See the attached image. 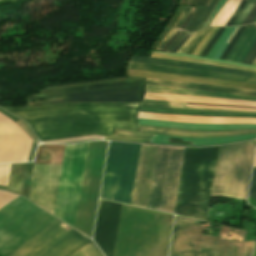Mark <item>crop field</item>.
<instances>
[{"label": "crop field", "mask_w": 256, "mask_h": 256, "mask_svg": "<svg viewBox=\"0 0 256 256\" xmlns=\"http://www.w3.org/2000/svg\"><path fill=\"white\" fill-rule=\"evenodd\" d=\"M237 27H233V29L231 30V32L229 33V35L227 36V38L225 39V41L223 42V44L221 45V47L218 49V51L216 52L214 58L219 59L220 55L222 54V52L224 51V49L227 47V45L229 44V41L231 40V38L233 37V35L235 34V32L238 30ZM236 29V31H235ZM235 31V32H234ZM234 32V33H233ZM233 33V35H232ZM232 35V36H231ZM231 36V37H230ZM230 37V39H229ZM229 39V41H227Z\"/></svg>", "instance_id": "38"}, {"label": "crop field", "mask_w": 256, "mask_h": 256, "mask_svg": "<svg viewBox=\"0 0 256 256\" xmlns=\"http://www.w3.org/2000/svg\"><path fill=\"white\" fill-rule=\"evenodd\" d=\"M105 140H119V141H131V142L147 143L148 139L114 136V137H106Z\"/></svg>", "instance_id": "40"}, {"label": "crop field", "mask_w": 256, "mask_h": 256, "mask_svg": "<svg viewBox=\"0 0 256 256\" xmlns=\"http://www.w3.org/2000/svg\"><path fill=\"white\" fill-rule=\"evenodd\" d=\"M189 107H199V108H219V109H231V110H242V111H256L251 109H240V108H231V107H209V106H195V105H186Z\"/></svg>", "instance_id": "49"}, {"label": "crop field", "mask_w": 256, "mask_h": 256, "mask_svg": "<svg viewBox=\"0 0 256 256\" xmlns=\"http://www.w3.org/2000/svg\"><path fill=\"white\" fill-rule=\"evenodd\" d=\"M181 30H178L171 38L170 40L166 43V45L163 47L162 51H165L175 40V38L181 33Z\"/></svg>", "instance_id": "52"}, {"label": "crop field", "mask_w": 256, "mask_h": 256, "mask_svg": "<svg viewBox=\"0 0 256 256\" xmlns=\"http://www.w3.org/2000/svg\"><path fill=\"white\" fill-rule=\"evenodd\" d=\"M255 17H256V5L254 6V8L252 9L251 13L249 14V16L247 17V19L244 21L243 24L253 23Z\"/></svg>", "instance_id": "50"}, {"label": "crop field", "mask_w": 256, "mask_h": 256, "mask_svg": "<svg viewBox=\"0 0 256 256\" xmlns=\"http://www.w3.org/2000/svg\"><path fill=\"white\" fill-rule=\"evenodd\" d=\"M255 2H256V0H249L247 5L245 6L244 10L242 11V13L239 15V17L237 18V20L233 24V26H239V25L242 24V22L246 19V17L248 16L249 12L253 8Z\"/></svg>", "instance_id": "33"}, {"label": "crop field", "mask_w": 256, "mask_h": 256, "mask_svg": "<svg viewBox=\"0 0 256 256\" xmlns=\"http://www.w3.org/2000/svg\"><path fill=\"white\" fill-rule=\"evenodd\" d=\"M224 28H219L218 31L214 34L210 42L207 44L203 52L200 54V56L205 57L207 52L210 50V48L213 46L214 42L217 40L221 32L223 31Z\"/></svg>", "instance_id": "39"}, {"label": "crop field", "mask_w": 256, "mask_h": 256, "mask_svg": "<svg viewBox=\"0 0 256 256\" xmlns=\"http://www.w3.org/2000/svg\"><path fill=\"white\" fill-rule=\"evenodd\" d=\"M26 163L12 164L7 190L20 195Z\"/></svg>", "instance_id": "26"}, {"label": "crop field", "mask_w": 256, "mask_h": 256, "mask_svg": "<svg viewBox=\"0 0 256 256\" xmlns=\"http://www.w3.org/2000/svg\"><path fill=\"white\" fill-rule=\"evenodd\" d=\"M139 111L168 113V114H182V115H192V116L256 118V114H251V113L214 112V111H203V110H192V109L161 108V107H146V106H141Z\"/></svg>", "instance_id": "22"}, {"label": "crop field", "mask_w": 256, "mask_h": 256, "mask_svg": "<svg viewBox=\"0 0 256 256\" xmlns=\"http://www.w3.org/2000/svg\"><path fill=\"white\" fill-rule=\"evenodd\" d=\"M194 222L176 216L169 256H249L252 242H243L245 231L222 226L217 238H213L200 235L204 227Z\"/></svg>", "instance_id": "3"}, {"label": "crop field", "mask_w": 256, "mask_h": 256, "mask_svg": "<svg viewBox=\"0 0 256 256\" xmlns=\"http://www.w3.org/2000/svg\"><path fill=\"white\" fill-rule=\"evenodd\" d=\"M64 145L39 146L34 163H61Z\"/></svg>", "instance_id": "25"}, {"label": "crop field", "mask_w": 256, "mask_h": 256, "mask_svg": "<svg viewBox=\"0 0 256 256\" xmlns=\"http://www.w3.org/2000/svg\"><path fill=\"white\" fill-rule=\"evenodd\" d=\"M31 143L14 122L0 114V163L26 161Z\"/></svg>", "instance_id": "10"}, {"label": "crop field", "mask_w": 256, "mask_h": 256, "mask_svg": "<svg viewBox=\"0 0 256 256\" xmlns=\"http://www.w3.org/2000/svg\"><path fill=\"white\" fill-rule=\"evenodd\" d=\"M144 99L256 107V102H251V101L214 99V98H205V97H187V96L165 95V94H155V93H146Z\"/></svg>", "instance_id": "18"}, {"label": "crop field", "mask_w": 256, "mask_h": 256, "mask_svg": "<svg viewBox=\"0 0 256 256\" xmlns=\"http://www.w3.org/2000/svg\"><path fill=\"white\" fill-rule=\"evenodd\" d=\"M190 7H185L181 16L179 17V19L176 21L174 27L179 28L184 20V18L186 17L188 11H189Z\"/></svg>", "instance_id": "47"}, {"label": "crop field", "mask_w": 256, "mask_h": 256, "mask_svg": "<svg viewBox=\"0 0 256 256\" xmlns=\"http://www.w3.org/2000/svg\"><path fill=\"white\" fill-rule=\"evenodd\" d=\"M130 61L148 63V64H156V65H164V66H172V67L202 69V70H208V71L256 78V73L242 71V70L228 69V68H223V67H219V66L201 65V64H193V63L169 61V60L154 59V58H147V57H137V56H132Z\"/></svg>", "instance_id": "17"}, {"label": "crop field", "mask_w": 256, "mask_h": 256, "mask_svg": "<svg viewBox=\"0 0 256 256\" xmlns=\"http://www.w3.org/2000/svg\"><path fill=\"white\" fill-rule=\"evenodd\" d=\"M146 84L158 85V86H168V87H178V88L203 89V90H210V91H217V92L237 93V94H243V95L256 96V91L239 89V88L197 84V83L147 79Z\"/></svg>", "instance_id": "21"}, {"label": "crop field", "mask_w": 256, "mask_h": 256, "mask_svg": "<svg viewBox=\"0 0 256 256\" xmlns=\"http://www.w3.org/2000/svg\"><path fill=\"white\" fill-rule=\"evenodd\" d=\"M217 150L185 148L174 214L206 220Z\"/></svg>", "instance_id": "2"}, {"label": "crop field", "mask_w": 256, "mask_h": 256, "mask_svg": "<svg viewBox=\"0 0 256 256\" xmlns=\"http://www.w3.org/2000/svg\"><path fill=\"white\" fill-rule=\"evenodd\" d=\"M142 105L147 106H161V107H177V108H188L185 107V103L179 102H165V101H151V100H144ZM198 109V108H193ZM203 110H214V111H231V110H219V109H203ZM232 112H242V111H232ZM256 113V112H252Z\"/></svg>", "instance_id": "30"}, {"label": "crop field", "mask_w": 256, "mask_h": 256, "mask_svg": "<svg viewBox=\"0 0 256 256\" xmlns=\"http://www.w3.org/2000/svg\"><path fill=\"white\" fill-rule=\"evenodd\" d=\"M139 147L110 142L101 198L130 204Z\"/></svg>", "instance_id": "6"}, {"label": "crop field", "mask_w": 256, "mask_h": 256, "mask_svg": "<svg viewBox=\"0 0 256 256\" xmlns=\"http://www.w3.org/2000/svg\"><path fill=\"white\" fill-rule=\"evenodd\" d=\"M248 0H242L240 5L238 6V8L236 9V11L234 12V14L232 15V17L230 18V20L228 21V23L226 24V26H232L233 22L235 21V19L237 18V16L240 14V12L243 10L244 6L246 5Z\"/></svg>", "instance_id": "42"}, {"label": "crop field", "mask_w": 256, "mask_h": 256, "mask_svg": "<svg viewBox=\"0 0 256 256\" xmlns=\"http://www.w3.org/2000/svg\"><path fill=\"white\" fill-rule=\"evenodd\" d=\"M137 118L156 119L171 122H192L205 124H256V119L251 118H214V117H187L154 113L139 112Z\"/></svg>", "instance_id": "16"}, {"label": "crop field", "mask_w": 256, "mask_h": 256, "mask_svg": "<svg viewBox=\"0 0 256 256\" xmlns=\"http://www.w3.org/2000/svg\"><path fill=\"white\" fill-rule=\"evenodd\" d=\"M211 29H212V27L200 31V32L195 36V38L186 46V48L183 50L182 53H189V54H192L193 50H194L195 47L198 45V43L203 39V37H204Z\"/></svg>", "instance_id": "31"}, {"label": "crop field", "mask_w": 256, "mask_h": 256, "mask_svg": "<svg viewBox=\"0 0 256 256\" xmlns=\"http://www.w3.org/2000/svg\"><path fill=\"white\" fill-rule=\"evenodd\" d=\"M10 165H0V185L6 186Z\"/></svg>", "instance_id": "37"}, {"label": "crop field", "mask_w": 256, "mask_h": 256, "mask_svg": "<svg viewBox=\"0 0 256 256\" xmlns=\"http://www.w3.org/2000/svg\"><path fill=\"white\" fill-rule=\"evenodd\" d=\"M249 197L256 198V167L253 168L252 184Z\"/></svg>", "instance_id": "45"}, {"label": "crop field", "mask_w": 256, "mask_h": 256, "mask_svg": "<svg viewBox=\"0 0 256 256\" xmlns=\"http://www.w3.org/2000/svg\"><path fill=\"white\" fill-rule=\"evenodd\" d=\"M138 129H139V132L115 129L114 135L150 138L154 133H158V134L171 135V136L201 138V137L236 136V135H242V134L256 133V129L206 131V132L182 131V130L154 128V127H143V126H138Z\"/></svg>", "instance_id": "13"}, {"label": "crop field", "mask_w": 256, "mask_h": 256, "mask_svg": "<svg viewBox=\"0 0 256 256\" xmlns=\"http://www.w3.org/2000/svg\"><path fill=\"white\" fill-rule=\"evenodd\" d=\"M186 104H191V103H186ZM196 105H204V104H196ZM210 106H217V105H210ZM252 109H256V108H252Z\"/></svg>", "instance_id": "56"}, {"label": "crop field", "mask_w": 256, "mask_h": 256, "mask_svg": "<svg viewBox=\"0 0 256 256\" xmlns=\"http://www.w3.org/2000/svg\"><path fill=\"white\" fill-rule=\"evenodd\" d=\"M254 23H256V19H255Z\"/></svg>", "instance_id": "60"}, {"label": "crop field", "mask_w": 256, "mask_h": 256, "mask_svg": "<svg viewBox=\"0 0 256 256\" xmlns=\"http://www.w3.org/2000/svg\"><path fill=\"white\" fill-rule=\"evenodd\" d=\"M168 137L169 136L153 135L149 141L150 143L167 144ZM254 137H256V134L243 135V136H237V137H225V138H201V139L180 138V137H172V138H178V139H182V141L191 142V145H207V144H221V143L245 140V139L254 138ZM172 138H169L168 143L190 144V143L181 142V140L172 139Z\"/></svg>", "instance_id": "23"}, {"label": "crop field", "mask_w": 256, "mask_h": 256, "mask_svg": "<svg viewBox=\"0 0 256 256\" xmlns=\"http://www.w3.org/2000/svg\"><path fill=\"white\" fill-rule=\"evenodd\" d=\"M196 34H197V32L194 33V34L179 48V50H178L176 53H181L182 50L185 48V46L194 38V36H195Z\"/></svg>", "instance_id": "55"}, {"label": "crop field", "mask_w": 256, "mask_h": 256, "mask_svg": "<svg viewBox=\"0 0 256 256\" xmlns=\"http://www.w3.org/2000/svg\"><path fill=\"white\" fill-rule=\"evenodd\" d=\"M218 28L214 27L207 35L206 37L202 40V42L198 45V47L194 50L193 55L199 56V54L202 52L208 41L211 39L213 34L216 32Z\"/></svg>", "instance_id": "35"}, {"label": "crop field", "mask_w": 256, "mask_h": 256, "mask_svg": "<svg viewBox=\"0 0 256 256\" xmlns=\"http://www.w3.org/2000/svg\"><path fill=\"white\" fill-rule=\"evenodd\" d=\"M19 196L0 191V208ZM55 218L20 197L0 209V256H9Z\"/></svg>", "instance_id": "4"}, {"label": "crop field", "mask_w": 256, "mask_h": 256, "mask_svg": "<svg viewBox=\"0 0 256 256\" xmlns=\"http://www.w3.org/2000/svg\"><path fill=\"white\" fill-rule=\"evenodd\" d=\"M254 256H256V248H255Z\"/></svg>", "instance_id": "59"}, {"label": "crop field", "mask_w": 256, "mask_h": 256, "mask_svg": "<svg viewBox=\"0 0 256 256\" xmlns=\"http://www.w3.org/2000/svg\"><path fill=\"white\" fill-rule=\"evenodd\" d=\"M247 26H243L240 27V29L238 30V32L235 34V36L233 37V39L231 40L230 44L228 45V47L225 49V51L223 52L222 56L220 57V59L225 60L226 57L228 56V54L230 53L231 49L233 48L235 42L237 41V39L239 38V36L242 34V32L245 30Z\"/></svg>", "instance_id": "34"}, {"label": "crop field", "mask_w": 256, "mask_h": 256, "mask_svg": "<svg viewBox=\"0 0 256 256\" xmlns=\"http://www.w3.org/2000/svg\"><path fill=\"white\" fill-rule=\"evenodd\" d=\"M231 29H232V27L226 28L225 32L222 34V36L219 38V40L216 42L215 46L211 50V52L208 56L209 58H213L215 52L217 51V49L219 48V46L221 45V43L223 42V40L225 39V37L227 36V34L229 33V31Z\"/></svg>", "instance_id": "41"}, {"label": "crop field", "mask_w": 256, "mask_h": 256, "mask_svg": "<svg viewBox=\"0 0 256 256\" xmlns=\"http://www.w3.org/2000/svg\"><path fill=\"white\" fill-rule=\"evenodd\" d=\"M256 42V28H249L247 27L243 34L240 36L238 41L236 42L234 48L232 49L231 53L229 54L227 60L239 63H242L243 59L252 48V46Z\"/></svg>", "instance_id": "24"}, {"label": "crop field", "mask_w": 256, "mask_h": 256, "mask_svg": "<svg viewBox=\"0 0 256 256\" xmlns=\"http://www.w3.org/2000/svg\"><path fill=\"white\" fill-rule=\"evenodd\" d=\"M191 36V34L187 33L180 41L179 43L173 48L171 53H175L178 48Z\"/></svg>", "instance_id": "51"}, {"label": "crop field", "mask_w": 256, "mask_h": 256, "mask_svg": "<svg viewBox=\"0 0 256 256\" xmlns=\"http://www.w3.org/2000/svg\"><path fill=\"white\" fill-rule=\"evenodd\" d=\"M131 69H140V70H149V71H157V72H165V73H173V74H181V75H190V76H198V77H206V78H214V79H222V80H230V81H238L256 84V79L233 76L227 74H220L202 70H192V69H182V68H172V67H164V66H156V65H148L141 63H133L129 62L128 67Z\"/></svg>", "instance_id": "14"}, {"label": "crop field", "mask_w": 256, "mask_h": 256, "mask_svg": "<svg viewBox=\"0 0 256 256\" xmlns=\"http://www.w3.org/2000/svg\"><path fill=\"white\" fill-rule=\"evenodd\" d=\"M241 0H228L218 15L211 22L210 26H225L232 13L235 11Z\"/></svg>", "instance_id": "28"}, {"label": "crop field", "mask_w": 256, "mask_h": 256, "mask_svg": "<svg viewBox=\"0 0 256 256\" xmlns=\"http://www.w3.org/2000/svg\"><path fill=\"white\" fill-rule=\"evenodd\" d=\"M125 75L134 76V77H142V78H151V79H170V80L197 82V83H205V84H212V85L233 86V87H240V88L256 90V86L250 85V84L222 81V80H214V79H206V78L189 77V76H181V75L164 74V73H156V72H148V71H140V70L127 69Z\"/></svg>", "instance_id": "15"}, {"label": "crop field", "mask_w": 256, "mask_h": 256, "mask_svg": "<svg viewBox=\"0 0 256 256\" xmlns=\"http://www.w3.org/2000/svg\"><path fill=\"white\" fill-rule=\"evenodd\" d=\"M186 34V32H182L177 38L176 40L173 42V44L166 50L167 52H170L172 50V48L178 43V41Z\"/></svg>", "instance_id": "54"}, {"label": "crop field", "mask_w": 256, "mask_h": 256, "mask_svg": "<svg viewBox=\"0 0 256 256\" xmlns=\"http://www.w3.org/2000/svg\"><path fill=\"white\" fill-rule=\"evenodd\" d=\"M77 232L57 220L27 239L10 256H68L89 240ZM70 256L83 255L76 250Z\"/></svg>", "instance_id": "8"}, {"label": "crop field", "mask_w": 256, "mask_h": 256, "mask_svg": "<svg viewBox=\"0 0 256 256\" xmlns=\"http://www.w3.org/2000/svg\"><path fill=\"white\" fill-rule=\"evenodd\" d=\"M138 125L165 127L182 130H226V129H250L256 128V125H204V124H191V123H170L154 120L137 119Z\"/></svg>", "instance_id": "19"}, {"label": "crop field", "mask_w": 256, "mask_h": 256, "mask_svg": "<svg viewBox=\"0 0 256 256\" xmlns=\"http://www.w3.org/2000/svg\"><path fill=\"white\" fill-rule=\"evenodd\" d=\"M218 2L219 0H212L208 9L198 8L185 30L193 33L201 23H205Z\"/></svg>", "instance_id": "27"}, {"label": "crop field", "mask_w": 256, "mask_h": 256, "mask_svg": "<svg viewBox=\"0 0 256 256\" xmlns=\"http://www.w3.org/2000/svg\"><path fill=\"white\" fill-rule=\"evenodd\" d=\"M151 53L174 55V56H181V57L194 58V59H200V60H209V61H217V62L229 63V64L238 65V66L253 67V66H248V65H244V64H236V63H232V62H228V61H222V60H215V59L197 57V56H193V55H189V54H171V53H161V52H156V51H152ZM253 68H256V67H253Z\"/></svg>", "instance_id": "32"}, {"label": "crop field", "mask_w": 256, "mask_h": 256, "mask_svg": "<svg viewBox=\"0 0 256 256\" xmlns=\"http://www.w3.org/2000/svg\"><path fill=\"white\" fill-rule=\"evenodd\" d=\"M93 245H94V243H93ZM79 250L81 251V253L83 255L88 254L89 256H103L95 245L91 248L88 245H86ZM88 255H86V256H88Z\"/></svg>", "instance_id": "36"}, {"label": "crop field", "mask_w": 256, "mask_h": 256, "mask_svg": "<svg viewBox=\"0 0 256 256\" xmlns=\"http://www.w3.org/2000/svg\"><path fill=\"white\" fill-rule=\"evenodd\" d=\"M194 10H195V8L192 7L191 10H190V12H189V14H188L187 17L185 18L183 25H182L180 28L184 29V28L187 26V24H188V22H189V20H190V18H191V16H192Z\"/></svg>", "instance_id": "53"}, {"label": "crop field", "mask_w": 256, "mask_h": 256, "mask_svg": "<svg viewBox=\"0 0 256 256\" xmlns=\"http://www.w3.org/2000/svg\"><path fill=\"white\" fill-rule=\"evenodd\" d=\"M256 140L219 147L212 196L246 200Z\"/></svg>", "instance_id": "5"}, {"label": "crop field", "mask_w": 256, "mask_h": 256, "mask_svg": "<svg viewBox=\"0 0 256 256\" xmlns=\"http://www.w3.org/2000/svg\"><path fill=\"white\" fill-rule=\"evenodd\" d=\"M252 65L256 66V59L254 60V62L252 63Z\"/></svg>", "instance_id": "58"}, {"label": "crop field", "mask_w": 256, "mask_h": 256, "mask_svg": "<svg viewBox=\"0 0 256 256\" xmlns=\"http://www.w3.org/2000/svg\"><path fill=\"white\" fill-rule=\"evenodd\" d=\"M210 2H211V0H188L187 5L208 7Z\"/></svg>", "instance_id": "43"}, {"label": "crop field", "mask_w": 256, "mask_h": 256, "mask_svg": "<svg viewBox=\"0 0 256 256\" xmlns=\"http://www.w3.org/2000/svg\"><path fill=\"white\" fill-rule=\"evenodd\" d=\"M150 57L170 59V60H178V61H186V62H193V63H201V64L220 65V66H226V67H232V68H238V69H244V70H249V71L256 72V69L238 67V66H233V65H229V64H223V63H217V62L200 61V60H193V59L180 58V57H174V56L155 55V54H151Z\"/></svg>", "instance_id": "29"}, {"label": "crop field", "mask_w": 256, "mask_h": 256, "mask_svg": "<svg viewBox=\"0 0 256 256\" xmlns=\"http://www.w3.org/2000/svg\"><path fill=\"white\" fill-rule=\"evenodd\" d=\"M227 0H221L219 3H218V5L216 6V8L214 9V11H213V13L211 14V18H210V20H209V18H208V20H209V22H208V20L206 21V24H207V22H208V24H210V22L213 20V18L217 15V13L220 11V9L224 6V4H225V2H226Z\"/></svg>", "instance_id": "46"}, {"label": "crop field", "mask_w": 256, "mask_h": 256, "mask_svg": "<svg viewBox=\"0 0 256 256\" xmlns=\"http://www.w3.org/2000/svg\"><path fill=\"white\" fill-rule=\"evenodd\" d=\"M183 151L158 146L148 208L173 214Z\"/></svg>", "instance_id": "7"}, {"label": "crop field", "mask_w": 256, "mask_h": 256, "mask_svg": "<svg viewBox=\"0 0 256 256\" xmlns=\"http://www.w3.org/2000/svg\"><path fill=\"white\" fill-rule=\"evenodd\" d=\"M144 82L127 80L39 90L40 95L27 97L26 100L75 96L29 105L77 101L140 102ZM130 102L61 103L6 110L24 119L32 127L38 139L45 141L89 135L112 136L114 128L134 130L135 116L140 103Z\"/></svg>", "instance_id": "1"}, {"label": "crop field", "mask_w": 256, "mask_h": 256, "mask_svg": "<svg viewBox=\"0 0 256 256\" xmlns=\"http://www.w3.org/2000/svg\"><path fill=\"white\" fill-rule=\"evenodd\" d=\"M146 92L165 93V94H178L188 96H206L214 98H229V99H242L256 101V97L242 96L236 94L217 93L203 90H189V89H178V88H167L146 85Z\"/></svg>", "instance_id": "20"}, {"label": "crop field", "mask_w": 256, "mask_h": 256, "mask_svg": "<svg viewBox=\"0 0 256 256\" xmlns=\"http://www.w3.org/2000/svg\"><path fill=\"white\" fill-rule=\"evenodd\" d=\"M255 57H256V44L253 46L251 51L248 53V55L246 56V58L243 61V63L251 65V63L253 62Z\"/></svg>", "instance_id": "44"}, {"label": "crop field", "mask_w": 256, "mask_h": 256, "mask_svg": "<svg viewBox=\"0 0 256 256\" xmlns=\"http://www.w3.org/2000/svg\"><path fill=\"white\" fill-rule=\"evenodd\" d=\"M121 204L100 200L93 240L105 256H112Z\"/></svg>", "instance_id": "11"}, {"label": "crop field", "mask_w": 256, "mask_h": 256, "mask_svg": "<svg viewBox=\"0 0 256 256\" xmlns=\"http://www.w3.org/2000/svg\"><path fill=\"white\" fill-rule=\"evenodd\" d=\"M256 166V154H255V160H254V165L253 167Z\"/></svg>", "instance_id": "57"}, {"label": "crop field", "mask_w": 256, "mask_h": 256, "mask_svg": "<svg viewBox=\"0 0 256 256\" xmlns=\"http://www.w3.org/2000/svg\"><path fill=\"white\" fill-rule=\"evenodd\" d=\"M178 29H171V31L168 33V35L165 37V39L158 45L156 50L161 51L162 47L165 45V43L169 40V38L177 31Z\"/></svg>", "instance_id": "48"}, {"label": "crop field", "mask_w": 256, "mask_h": 256, "mask_svg": "<svg viewBox=\"0 0 256 256\" xmlns=\"http://www.w3.org/2000/svg\"><path fill=\"white\" fill-rule=\"evenodd\" d=\"M62 164H34L28 200L54 213Z\"/></svg>", "instance_id": "9"}, {"label": "crop field", "mask_w": 256, "mask_h": 256, "mask_svg": "<svg viewBox=\"0 0 256 256\" xmlns=\"http://www.w3.org/2000/svg\"><path fill=\"white\" fill-rule=\"evenodd\" d=\"M157 146L141 144L131 204L147 206Z\"/></svg>", "instance_id": "12"}]
</instances>
